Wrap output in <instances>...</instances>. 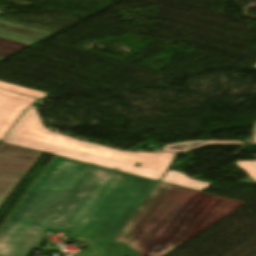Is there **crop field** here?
<instances>
[{
    "mask_svg": "<svg viewBox=\"0 0 256 256\" xmlns=\"http://www.w3.org/2000/svg\"><path fill=\"white\" fill-rule=\"evenodd\" d=\"M156 181L55 156L0 229V256H29L50 232L103 256Z\"/></svg>",
    "mask_w": 256,
    "mask_h": 256,
    "instance_id": "crop-field-1",
    "label": "crop field"
},
{
    "mask_svg": "<svg viewBox=\"0 0 256 256\" xmlns=\"http://www.w3.org/2000/svg\"><path fill=\"white\" fill-rule=\"evenodd\" d=\"M241 205L158 182L116 240L141 256H163Z\"/></svg>",
    "mask_w": 256,
    "mask_h": 256,
    "instance_id": "crop-field-2",
    "label": "crop field"
},
{
    "mask_svg": "<svg viewBox=\"0 0 256 256\" xmlns=\"http://www.w3.org/2000/svg\"><path fill=\"white\" fill-rule=\"evenodd\" d=\"M2 142L65 156L79 161L159 180L178 153L120 151L51 133L44 128L33 105L28 107ZM135 162L140 167H134Z\"/></svg>",
    "mask_w": 256,
    "mask_h": 256,
    "instance_id": "crop-field-3",
    "label": "crop field"
},
{
    "mask_svg": "<svg viewBox=\"0 0 256 256\" xmlns=\"http://www.w3.org/2000/svg\"><path fill=\"white\" fill-rule=\"evenodd\" d=\"M40 154L41 152L5 143L0 145V205Z\"/></svg>",
    "mask_w": 256,
    "mask_h": 256,
    "instance_id": "crop-field-4",
    "label": "crop field"
},
{
    "mask_svg": "<svg viewBox=\"0 0 256 256\" xmlns=\"http://www.w3.org/2000/svg\"><path fill=\"white\" fill-rule=\"evenodd\" d=\"M55 33L0 20V58H7Z\"/></svg>",
    "mask_w": 256,
    "mask_h": 256,
    "instance_id": "crop-field-5",
    "label": "crop field"
},
{
    "mask_svg": "<svg viewBox=\"0 0 256 256\" xmlns=\"http://www.w3.org/2000/svg\"><path fill=\"white\" fill-rule=\"evenodd\" d=\"M37 99L0 90V140L22 111Z\"/></svg>",
    "mask_w": 256,
    "mask_h": 256,
    "instance_id": "crop-field-6",
    "label": "crop field"
},
{
    "mask_svg": "<svg viewBox=\"0 0 256 256\" xmlns=\"http://www.w3.org/2000/svg\"><path fill=\"white\" fill-rule=\"evenodd\" d=\"M161 181L186 187V188H190V189H194V190H198V191L204 190L206 187H208L211 184V183H207V182H203L195 179H189L185 175L170 169H168V171L163 176Z\"/></svg>",
    "mask_w": 256,
    "mask_h": 256,
    "instance_id": "crop-field-7",
    "label": "crop field"
},
{
    "mask_svg": "<svg viewBox=\"0 0 256 256\" xmlns=\"http://www.w3.org/2000/svg\"><path fill=\"white\" fill-rule=\"evenodd\" d=\"M207 144H243L238 141H188L172 145H167L162 148V151H187L195 148L202 147ZM187 147H184V146Z\"/></svg>",
    "mask_w": 256,
    "mask_h": 256,
    "instance_id": "crop-field-8",
    "label": "crop field"
},
{
    "mask_svg": "<svg viewBox=\"0 0 256 256\" xmlns=\"http://www.w3.org/2000/svg\"><path fill=\"white\" fill-rule=\"evenodd\" d=\"M0 88L10 90V91H14V92H18V93H22V94H25V95H28V96H31V97H35V98H38V99L47 95L46 93H42V92L31 90V89H28V88H24V87L12 85V84L4 83V82H1V81H0Z\"/></svg>",
    "mask_w": 256,
    "mask_h": 256,
    "instance_id": "crop-field-9",
    "label": "crop field"
},
{
    "mask_svg": "<svg viewBox=\"0 0 256 256\" xmlns=\"http://www.w3.org/2000/svg\"><path fill=\"white\" fill-rule=\"evenodd\" d=\"M236 165L245 170L251 177L256 180V160L235 162Z\"/></svg>",
    "mask_w": 256,
    "mask_h": 256,
    "instance_id": "crop-field-10",
    "label": "crop field"
},
{
    "mask_svg": "<svg viewBox=\"0 0 256 256\" xmlns=\"http://www.w3.org/2000/svg\"><path fill=\"white\" fill-rule=\"evenodd\" d=\"M129 252H131L132 254L129 255ZM106 256H137V254H135L134 252H132L131 250L122 245Z\"/></svg>",
    "mask_w": 256,
    "mask_h": 256,
    "instance_id": "crop-field-11",
    "label": "crop field"
},
{
    "mask_svg": "<svg viewBox=\"0 0 256 256\" xmlns=\"http://www.w3.org/2000/svg\"><path fill=\"white\" fill-rule=\"evenodd\" d=\"M252 144H256V128H255Z\"/></svg>",
    "mask_w": 256,
    "mask_h": 256,
    "instance_id": "crop-field-12",
    "label": "crop field"
},
{
    "mask_svg": "<svg viewBox=\"0 0 256 256\" xmlns=\"http://www.w3.org/2000/svg\"><path fill=\"white\" fill-rule=\"evenodd\" d=\"M254 68H256V65L254 66Z\"/></svg>",
    "mask_w": 256,
    "mask_h": 256,
    "instance_id": "crop-field-13",
    "label": "crop field"
},
{
    "mask_svg": "<svg viewBox=\"0 0 256 256\" xmlns=\"http://www.w3.org/2000/svg\"><path fill=\"white\" fill-rule=\"evenodd\" d=\"M3 60V59H0V61Z\"/></svg>",
    "mask_w": 256,
    "mask_h": 256,
    "instance_id": "crop-field-14",
    "label": "crop field"
},
{
    "mask_svg": "<svg viewBox=\"0 0 256 256\" xmlns=\"http://www.w3.org/2000/svg\"><path fill=\"white\" fill-rule=\"evenodd\" d=\"M1 13V12H0Z\"/></svg>",
    "mask_w": 256,
    "mask_h": 256,
    "instance_id": "crop-field-15",
    "label": "crop field"
}]
</instances>
